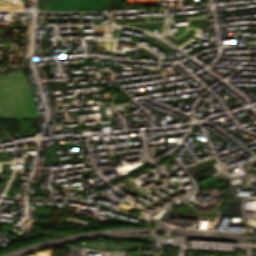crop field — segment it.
I'll list each match as a JSON object with an SVG mask.
<instances>
[{"instance_id":"1","label":"crop field","mask_w":256,"mask_h":256,"mask_svg":"<svg viewBox=\"0 0 256 256\" xmlns=\"http://www.w3.org/2000/svg\"><path fill=\"white\" fill-rule=\"evenodd\" d=\"M0 118H37V107L23 71L0 76Z\"/></svg>"},{"instance_id":"2","label":"crop field","mask_w":256,"mask_h":256,"mask_svg":"<svg viewBox=\"0 0 256 256\" xmlns=\"http://www.w3.org/2000/svg\"><path fill=\"white\" fill-rule=\"evenodd\" d=\"M110 0H39V9L72 10L73 7L85 9H102L109 6Z\"/></svg>"},{"instance_id":"3","label":"crop field","mask_w":256,"mask_h":256,"mask_svg":"<svg viewBox=\"0 0 256 256\" xmlns=\"http://www.w3.org/2000/svg\"><path fill=\"white\" fill-rule=\"evenodd\" d=\"M53 209L48 208H38L36 210V218H51Z\"/></svg>"},{"instance_id":"4","label":"crop field","mask_w":256,"mask_h":256,"mask_svg":"<svg viewBox=\"0 0 256 256\" xmlns=\"http://www.w3.org/2000/svg\"><path fill=\"white\" fill-rule=\"evenodd\" d=\"M32 121L33 120H30L29 122L26 123L24 122V120H20L21 126H22L21 134H23L24 132H30Z\"/></svg>"}]
</instances>
